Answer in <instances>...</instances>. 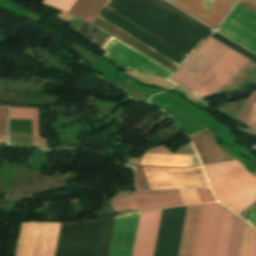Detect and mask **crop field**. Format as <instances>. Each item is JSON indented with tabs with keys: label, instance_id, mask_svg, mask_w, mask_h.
<instances>
[{
	"label": "crop field",
	"instance_id": "8a807250",
	"mask_svg": "<svg viewBox=\"0 0 256 256\" xmlns=\"http://www.w3.org/2000/svg\"><path fill=\"white\" fill-rule=\"evenodd\" d=\"M204 169L217 200L236 213L256 201V177L237 160L206 165Z\"/></svg>",
	"mask_w": 256,
	"mask_h": 256
},
{
	"label": "crop field",
	"instance_id": "ac0d7876",
	"mask_svg": "<svg viewBox=\"0 0 256 256\" xmlns=\"http://www.w3.org/2000/svg\"><path fill=\"white\" fill-rule=\"evenodd\" d=\"M249 61L229 48L189 91L199 98L210 95ZM255 69L250 61L214 93L239 88Z\"/></svg>",
	"mask_w": 256,
	"mask_h": 256
},
{
	"label": "crop field",
	"instance_id": "34b2d1b8",
	"mask_svg": "<svg viewBox=\"0 0 256 256\" xmlns=\"http://www.w3.org/2000/svg\"><path fill=\"white\" fill-rule=\"evenodd\" d=\"M60 223L22 224L16 256H54Z\"/></svg>",
	"mask_w": 256,
	"mask_h": 256
},
{
	"label": "crop field",
	"instance_id": "412701ff",
	"mask_svg": "<svg viewBox=\"0 0 256 256\" xmlns=\"http://www.w3.org/2000/svg\"><path fill=\"white\" fill-rule=\"evenodd\" d=\"M228 48L210 37L170 80L189 90Z\"/></svg>",
	"mask_w": 256,
	"mask_h": 256
},
{
	"label": "crop field",
	"instance_id": "f4fd0767",
	"mask_svg": "<svg viewBox=\"0 0 256 256\" xmlns=\"http://www.w3.org/2000/svg\"><path fill=\"white\" fill-rule=\"evenodd\" d=\"M142 168L151 189L208 187L201 166L186 169Z\"/></svg>",
	"mask_w": 256,
	"mask_h": 256
},
{
	"label": "crop field",
	"instance_id": "dd49c442",
	"mask_svg": "<svg viewBox=\"0 0 256 256\" xmlns=\"http://www.w3.org/2000/svg\"><path fill=\"white\" fill-rule=\"evenodd\" d=\"M217 31L256 54V14L242 5L237 3Z\"/></svg>",
	"mask_w": 256,
	"mask_h": 256
},
{
	"label": "crop field",
	"instance_id": "e52e79f7",
	"mask_svg": "<svg viewBox=\"0 0 256 256\" xmlns=\"http://www.w3.org/2000/svg\"><path fill=\"white\" fill-rule=\"evenodd\" d=\"M102 49L107 51L104 56L126 68L151 73L167 79L173 74L113 37Z\"/></svg>",
	"mask_w": 256,
	"mask_h": 256
},
{
	"label": "crop field",
	"instance_id": "d8731c3e",
	"mask_svg": "<svg viewBox=\"0 0 256 256\" xmlns=\"http://www.w3.org/2000/svg\"><path fill=\"white\" fill-rule=\"evenodd\" d=\"M224 206L204 204L194 256H215Z\"/></svg>",
	"mask_w": 256,
	"mask_h": 256
},
{
	"label": "crop field",
	"instance_id": "5a996713",
	"mask_svg": "<svg viewBox=\"0 0 256 256\" xmlns=\"http://www.w3.org/2000/svg\"><path fill=\"white\" fill-rule=\"evenodd\" d=\"M217 29L237 0H168Z\"/></svg>",
	"mask_w": 256,
	"mask_h": 256
},
{
	"label": "crop field",
	"instance_id": "3316defc",
	"mask_svg": "<svg viewBox=\"0 0 256 256\" xmlns=\"http://www.w3.org/2000/svg\"><path fill=\"white\" fill-rule=\"evenodd\" d=\"M139 214L115 218L108 256H132Z\"/></svg>",
	"mask_w": 256,
	"mask_h": 256
},
{
	"label": "crop field",
	"instance_id": "28ad6ade",
	"mask_svg": "<svg viewBox=\"0 0 256 256\" xmlns=\"http://www.w3.org/2000/svg\"><path fill=\"white\" fill-rule=\"evenodd\" d=\"M162 209L140 214L133 256H153Z\"/></svg>",
	"mask_w": 256,
	"mask_h": 256
},
{
	"label": "crop field",
	"instance_id": "d1516ede",
	"mask_svg": "<svg viewBox=\"0 0 256 256\" xmlns=\"http://www.w3.org/2000/svg\"><path fill=\"white\" fill-rule=\"evenodd\" d=\"M243 220L224 209L216 256H237Z\"/></svg>",
	"mask_w": 256,
	"mask_h": 256
},
{
	"label": "crop field",
	"instance_id": "22f410ed",
	"mask_svg": "<svg viewBox=\"0 0 256 256\" xmlns=\"http://www.w3.org/2000/svg\"><path fill=\"white\" fill-rule=\"evenodd\" d=\"M203 204L187 206L178 256H193Z\"/></svg>",
	"mask_w": 256,
	"mask_h": 256
},
{
	"label": "crop field",
	"instance_id": "cbeb9de0",
	"mask_svg": "<svg viewBox=\"0 0 256 256\" xmlns=\"http://www.w3.org/2000/svg\"><path fill=\"white\" fill-rule=\"evenodd\" d=\"M140 210L184 205L178 190L133 192Z\"/></svg>",
	"mask_w": 256,
	"mask_h": 256
},
{
	"label": "crop field",
	"instance_id": "5142ce71",
	"mask_svg": "<svg viewBox=\"0 0 256 256\" xmlns=\"http://www.w3.org/2000/svg\"><path fill=\"white\" fill-rule=\"evenodd\" d=\"M190 139L202 164L234 159L213 142V135L208 129L191 136Z\"/></svg>",
	"mask_w": 256,
	"mask_h": 256
},
{
	"label": "crop field",
	"instance_id": "d9b57169",
	"mask_svg": "<svg viewBox=\"0 0 256 256\" xmlns=\"http://www.w3.org/2000/svg\"><path fill=\"white\" fill-rule=\"evenodd\" d=\"M141 165L173 166V167L192 166L189 155H157V154H146Z\"/></svg>",
	"mask_w": 256,
	"mask_h": 256
},
{
	"label": "crop field",
	"instance_id": "733c2abd",
	"mask_svg": "<svg viewBox=\"0 0 256 256\" xmlns=\"http://www.w3.org/2000/svg\"><path fill=\"white\" fill-rule=\"evenodd\" d=\"M10 109V119H32L33 145L46 147V139H40L38 109L15 107H10Z\"/></svg>",
	"mask_w": 256,
	"mask_h": 256
},
{
	"label": "crop field",
	"instance_id": "4a817a6b",
	"mask_svg": "<svg viewBox=\"0 0 256 256\" xmlns=\"http://www.w3.org/2000/svg\"><path fill=\"white\" fill-rule=\"evenodd\" d=\"M107 0H77L69 14L91 23Z\"/></svg>",
	"mask_w": 256,
	"mask_h": 256
},
{
	"label": "crop field",
	"instance_id": "bc2a9ffb",
	"mask_svg": "<svg viewBox=\"0 0 256 256\" xmlns=\"http://www.w3.org/2000/svg\"><path fill=\"white\" fill-rule=\"evenodd\" d=\"M238 256H256V231L243 223Z\"/></svg>",
	"mask_w": 256,
	"mask_h": 256
},
{
	"label": "crop field",
	"instance_id": "214f88e0",
	"mask_svg": "<svg viewBox=\"0 0 256 256\" xmlns=\"http://www.w3.org/2000/svg\"><path fill=\"white\" fill-rule=\"evenodd\" d=\"M237 120L256 129V90L248 98Z\"/></svg>",
	"mask_w": 256,
	"mask_h": 256
},
{
	"label": "crop field",
	"instance_id": "92a150f3",
	"mask_svg": "<svg viewBox=\"0 0 256 256\" xmlns=\"http://www.w3.org/2000/svg\"><path fill=\"white\" fill-rule=\"evenodd\" d=\"M110 204L114 212L126 209L138 210L132 193H120L116 198H112Z\"/></svg>",
	"mask_w": 256,
	"mask_h": 256
},
{
	"label": "crop field",
	"instance_id": "dafd665d",
	"mask_svg": "<svg viewBox=\"0 0 256 256\" xmlns=\"http://www.w3.org/2000/svg\"><path fill=\"white\" fill-rule=\"evenodd\" d=\"M9 110L0 108V143L7 144V126Z\"/></svg>",
	"mask_w": 256,
	"mask_h": 256
},
{
	"label": "crop field",
	"instance_id": "00972430",
	"mask_svg": "<svg viewBox=\"0 0 256 256\" xmlns=\"http://www.w3.org/2000/svg\"><path fill=\"white\" fill-rule=\"evenodd\" d=\"M76 0H44L43 4L53 6L61 11L68 13Z\"/></svg>",
	"mask_w": 256,
	"mask_h": 256
},
{
	"label": "crop field",
	"instance_id": "a9b5d70f",
	"mask_svg": "<svg viewBox=\"0 0 256 256\" xmlns=\"http://www.w3.org/2000/svg\"><path fill=\"white\" fill-rule=\"evenodd\" d=\"M179 191L181 193V196L185 205L200 203L195 189H187V190H179Z\"/></svg>",
	"mask_w": 256,
	"mask_h": 256
},
{
	"label": "crop field",
	"instance_id": "4177f3b9",
	"mask_svg": "<svg viewBox=\"0 0 256 256\" xmlns=\"http://www.w3.org/2000/svg\"><path fill=\"white\" fill-rule=\"evenodd\" d=\"M135 176L138 190L150 189L141 167L135 166Z\"/></svg>",
	"mask_w": 256,
	"mask_h": 256
},
{
	"label": "crop field",
	"instance_id": "730fd06b",
	"mask_svg": "<svg viewBox=\"0 0 256 256\" xmlns=\"http://www.w3.org/2000/svg\"><path fill=\"white\" fill-rule=\"evenodd\" d=\"M196 190L201 203L215 201L210 189H196Z\"/></svg>",
	"mask_w": 256,
	"mask_h": 256
},
{
	"label": "crop field",
	"instance_id": "eef30255",
	"mask_svg": "<svg viewBox=\"0 0 256 256\" xmlns=\"http://www.w3.org/2000/svg\"><path fill=\"white\" fill-rule=\"evenodd\" d=\"M247 221L256 229V204Z\"/></svg>",
	"mask_w": 256,
	"mask_h": 256
},
{
	"label": "crop field",
	"instance_id": "ae1a2a85",
	"mask_svg": "<svg viewBox=\"0 0 256 256\" xmlns=\"http://www.w3.org/2000/svg\"><path fill=\"white\" fill-rule=\"evenodd\" d=\"M239 2L256 11V0H240Z\"/></svg>",
	"mask_w": 256,
	"mask_h": 256
}]
</instances>
